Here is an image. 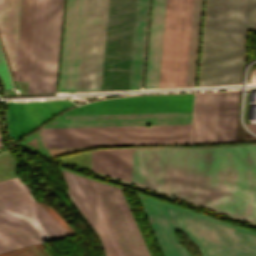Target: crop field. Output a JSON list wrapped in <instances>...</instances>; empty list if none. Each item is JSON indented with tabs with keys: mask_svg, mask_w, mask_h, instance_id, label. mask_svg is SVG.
I'll list each match as a JSON object with an SVG mask.
<instances>
[{
	"mask_svg": "<svg viewBox=\"0 0 256 256\" xmlns=\"http://www.w3.org/2000/svg\"><path fill=\"white\" fill-rule=\"evenodd\" d=\"M132 154L93 150L91 170L130 183ZM131 183L256 224V144L134 148Z\"/></svg>",
	"mask_w": 256,
	"mask_h": 256,
	"instance_id": "crop-field-1",
	"label": "crop field"
},
{
	"mask_svg": "<svg viewBox=\"0 0 256 256\" xmlns=\"http://www.w3.org/2000/svg\"><path fill=\"white\" fill-rule=\"evenodd\" d=\"M137 196L163 256H189L176 241L175 229L186 232L202 256H256L255 232L149 197Z\"/></svg>",
	"mask_w": 256,
	"mask_h": 256,
	"instance_id": "crop-field-2",
	"label": "crop field"
},
{
	"mask_svg": "<svg viewBox=\"0 0 256 256\" xmlns=\"http://www.w3.org/2000/svg\"><path fill=\"white\" fill-rule=\"evenodd\" d=\"M237 0H207L204 30H234ZM256 0H238L235 31H204L199 86L237 83Z\"/></svg>",
	"mask_w": 256,
	"mask_h": 256,
	"instance_id": "crop-field-3",
	"label": "crop field"
},
{
	"mask_svg": "<svg viewBox=\"0 0 256 256\" xmlns=\"http://www.w3.org/2000/svg\"><path fill=\"white\" fill-rule=\"evenodd\" d=\"M62 173L67 194L101 239L105 256H150L119 187Z\"/></svg>",
	"mask_w": 256,
	"mask_h": 256,
	"instance_id": "crop-field-4",
	"label": "crop field"
},
{
	"mask_svg": "<svg viewBox=\"0 0 256 256\" xmlns=\"http://www.w3.org/2000/svg\"><path fill=\"white\" fill-rule=\"evenodd\" d=\"M37 202V201H36ZM19 179L0 182V253L78 235L51 207L36 203ZM0 256H48L42 243L8 251Z\"/></svg>",
	"mask_w": 256,
	"mask_h": 256,
	"instance_id": "crop-field-5",
	"label": "crop field"
},
{
	"mask_svg": "<svg viewBox=\"0 0 256 256\" xmlns=\"http://www.w3.org/2000/svg\"><path fill=\"white\" fill-rule=\"evenodd\" d=\"M48 146L189 143L190 125L43 128Z\"/></svg>",
	"mask_w": 256,
	"mask_h": 256,
	"instance_id": "crop-field-6",
	"label": "crop field"
},
{
	"mask_svg": "<svg viewBox=\"0 0 256 256\" xmlns=\"http://www.w3.org/2000/svg\"><path fill=\"white\" fill-rule=\"evenodd\" d=\"M193 0H167L158 89L185 87Z\"/></svg>",
	"mask_w": 256,
	"mask_h": 256,
	"instance_id": "crop-field-7",
	"label": "crop field"
},
{
	"mask_svg": "<svg viewBox=\"0 0 256 256\" xmlns=\"http://www.w3.org/2000/svg\"><path fill=\"white\" fill-rule=\"evenodd\" d=\"M108 0H88L79 89L100 90Z\"/></svg>",
	"mask_w": 256,
	"mask_h": 256,
	"instance_id": "crop-field-8",
	"label": "crop field"
},
{
	"mask_svg": "<svg viewBox=\"0 0 256 256\" xmlns=\"http://www.w3.org/2000/svg\"><path fill=\"white\" fill-rule=\"evenodd\" d=\"M87 0H67L58 92L78 90Z\"/></svg>",
	"mask_w": 256,
	"mask_h": 256,
	"instance_id": "crop-field-9",
	"label": "crop field"
},
{
	"mask_svg": "<svg viewBox=\"0 0 256 256\" xmlns=\"http://www.w3.org/2000/svg\"><path fill=\"white\" fill-rule=\"evenodd\" d=\"M193 94L132 96L82 105L63 114L192 112Z\"/></svg>",
	"mask_w": 256,
	"mask_h": 256,
	"instance_id": "crop-field-10",
	"label": "crop field"
},
{
	"mask_svg": "<svg viewBox=\"0 0 256 256\" xmlns=\"http://www.w3.org/2000/svg\"><path fill=\"white\" fill-rule=\"evenodd\" d=\"M192 113L60 115L45 127L190 124Z\"/></svg>",
	"mask_w": 256,
	"mask_h": 256,
	"instance_id": "crop-field-11",
	"label": "crop field"
},
{
	"mask_svg": "<svg viewBox=\"0 0 256 256\" xmlns=\"http://www.w3.org/2000/svg\"><path fill=\"white\" fill-rule=\"evenodd\" d=\"M72 104L74 103L69 100L36 103L8 102L10 135L16 140Z\"/></svg>",
	"mask_w": 256,
	"mask_h": 256,
	"instance_id": "crop-field-12",
	"label": "crop field"
},
{
	"mask_svg": "<svg viewBox=\"0 0 256 256\" xmlns=\"http://www.w3.org/2000/svg\"><path fill=\"white\" fill-rule=\"evenodd\" d=\"M63 0H49L41 93L55 92Z\"/></svg>",
	"mask_w": 256,
	"mask_h": 256,
	"instance_id": "crop-field-13",
	"label": "crop field"
},
{
	"mask_svg": "<svg viewBox=\"0 0 256 256\" xmlns=\"http://www.w3.org/2000/svg\"><path fill=\"white\" fill-rule=\"evenodd\" d=\"M48 0H36L30 75L27 94L40 93Z\"/></svg>",
	"mask_w": 256,
	"mask_h": 256,
	"instance_id": "crop-field-14",
	"label": "crop field"
},
{
	"mask_svg": "<svg viewBox=\"0 0 256 256\" xmlns=\"http://www.w3.org/2000/svg\"><path fill=\"white\" fill-rule=\"evenodd\" d=\"M219 92L196 94L191 143L214 142Z\"/></svg>",
	"mask_w": 256,
	"mask_h": 256,
	"instance_id": "crop-field-15",
	"label": "crop field"
},
{
	"mask_svg": "<svg viewBox=\"0 0 256 256\" xmlns=\"http://www.w3.org/2000/svg\"><path fill=\"white\" fill-rule=\"evenodd\" d=\"M165 0H153L144 89L157 88Z\"/></svg>",
	"mask_w": 256,
	"mask_h": 256,
	"instance_id": "crop-field-16",
	"label": "crop field"
},
{
	"mask_svg": "<svg viewBox=\"0 0 256 256\" xmlns=\"http://www.w3.org/2000/svg\"><path fill=\"white\" fill-rule=\"evenodd\" d=\"M149 0H137L129 90L141 89Z\"/></svg>",
	"mask_w": 256,
	"mask_h": 256,
	"instance_id": "crop-field-17",
	"label": "crop field"
},
{
	"mask_svg": "<svg viewBox=\"0 0 256 256\" xmlns=\"http://www.w3.org/2000/svg\"><path fill=\"white\" fill-rule=\"evenodd\" d=\"M21 0H0V37L15 72Z\"/></svg>",
	"mask_w": 256,
	"mask_h": 256,
	"instance_id": "crop-field-18",
	"label": "crop field"
},
{
	"mask_svg": "<svg viewBox=\"0 0 256 256\" xmlns=\"http://www.w3.org/2000/svg\"><path fill=\"white\" fill-rule=\"evenodd\" d=\"M35 0H22L15 79H28Z\"/></svg>",
	"mask_w": 256,
	"mask_h": 256,
	"instance_id": "crop-field-19",
	"label": "crop field"
},
{
	"mask_svg": "<svg viewBox=\"0 0 256 256\" xmlns=\"http://www.w3.org/2000/svg\"><path fill=\"white\" fill-rule=\"evenodd\" d=\"M238 111V91L220 92L215 142L234 141Z\"/></svg>",
	"mask_w": 256,
	"mask_h": 256,
	"instance_id": "crop-field-20",
	"label": "crop field"
},
{
	"mask_svg": "<svg viewBox=\"0 0 256 256\" xmlns=\"http://www.w3.org/2000/svg\"><path fill=\"white\" fill-rule=\"evenodd\" d=\"M201 0H194L186 86H193Z\"/></svg>",
	"mask_w": 256,
	"mask_h": 256,
	"instance_id": "crop-field-21",
	"label": "crop field"
},
{
	"mask_svg": "<svg viewBox=\"0 0 256 256\" xmlns=\"http://www.w3.org/2000/svg\"><path fill=\"white\" fill-rule=\"evenodd\" d=\"M0 77L2 78L6 88L13 87L1 51H0Z\"/></svg>",
	"mask_w": 256,
	"mask_h": 256,
	"instance_id": "crop-field-22",
	"label": "crop field"
},
{
	"mask_svg": "<svg viewBox=\"0 0 256 256\" xmlns=\"http://www.w3.org/2000/svg\"><path fill=\"white\" fill-rule=\"evenodd\" d=\"M248 129L252 132L256 133V125L255 124H247Z\"/></svg>",
	"mask_w": 256,
	"mask_h": 256,
	"instance_id": "crop-field-23",
	"label": "crop field"
}]
</instances>
